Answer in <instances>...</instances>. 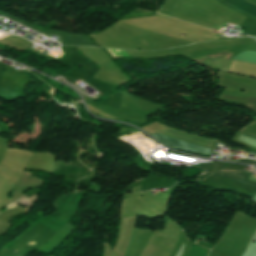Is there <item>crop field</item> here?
I'll return each mask as SVG.
<instances>
[{
	"mask_svg": "<svg viewBox=\"0 0 256 256\" xmlns=\"http://www.w3.org/2000/svg\"><path fill=\"white\" fill-rule=\"evenodd\" d=\"M226 2L256 16V6L244 0H225Z\"/></svg>",
	"mask_w": 256,
	"mask_h": 256,
	"instance_id": "obj_2",
	"label": "crop field"
},
{
	"mask_svg": "<svg viewBox=\"0 0 256 256\" xmlns=\"http://www.w3.org/2000/svg\"><path fill=\"white\" fill-rule=\"evenodd\" d=\"M152 136L167 146H170L172 148L181 149V150L188 151V152H192V153H196V154H202V155L208 156L209 152L211 150L210 148L198 146L195 144L183 142L180 140L172 139V138L157 135V134L152 135Z\"/></svg>",
	"mask_w": 256,
	"mask_h": 256,
	"instance_id": "obj_1",
	"label": "crop field"
}]
</instances>
